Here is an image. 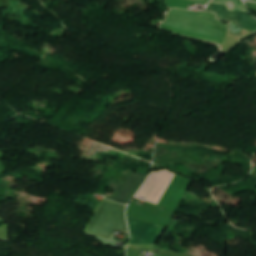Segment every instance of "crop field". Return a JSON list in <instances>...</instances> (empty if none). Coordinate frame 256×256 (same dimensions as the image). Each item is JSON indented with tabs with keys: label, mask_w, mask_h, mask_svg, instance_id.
<instances>
[{
	"label": "crop field",
	"mask_w": 256,
	"mask_h": 256,
	"mask_svg": "<svg viewBox=\"0 0 256 256\" xmlns=\"http://www.w3.org/2000/svg\"><path fill=\"white\" fill-rule=\"evenodd\" d=\"M205 23L225 32L224 35L222 32L204 24L195 14ZM191 12V11H183L179 9H172L169 11L168 16L165 20L164 23L172 27L178 32L181 33H187V34H192V35H197L213 40L220 41L222 35V39L220 42L197 37V36H192V35H186V34H181L167 26L166 24H162L161 27L165 28L167 30L173 31L179 35L182 36H188V37H193V38H198L214 43L221 44L226 33H227V25L220 24V21L216 20L215 14H209L206 12L203 13H196V12Z\"/></svg>",
	"instance_id": "8a807250"
},
{
	"label": "crop field",
	"mask_w": 256,
	"mask_h": 256,
	"mask_svg": "<svg viewBox=\"0 0 256 256\" xmlns=\"http://www.w3.org/2000/svg\"><path fill=\"white\" fill-rule=\"evenodd\" d=\"M250 1H256V0H250Z\"/></svg>",
	"instance_id": "d8731c3e"
},
{
	"label": "crop field",
	"mask_w": 256,
	"mask_h": 256,
	"mask_svg": "<svg viewBox=\"0 0 256 256\" xmlns=\"http://www.w3.org/2000/svg\"><path fill=\"white\" fill-rule=\"evenodd\" d=\"M207 10L217 12V19L236 21V24L242 29L256 33V20L253 19L249 13L230 12L227 11L226 6L213 4H209Z\"/></svg>",
	"instance_id": "f4fd0767"
},
{
	"label": "crop field",
	"mask_w": 256,
	"mask_h": 256,
	"mask_svg": "<svg viewBox=\"0 0 256 256\" xmlns=\"http://www.w3.org/2000/svg\"><path fill=\"white\" fill-rule=\"evenodd\" d=\"M147 176V174L132 172L122 187L111 182L109 188L115 189L117 191L110 197V199L119 203L128 204L138 189L145 182Z\"/></svg>",
	"instance_id": "412701ff"
},
{
	"label": "crop field",
	"mask_w": 256,
	"mask_h": 256,
	"mask_svg": "<svg viewBox=\"0 0 256 256\" xmlns=\"http://www.w3.org/2000/svg\"><path fill=\"white\" fill-rule=\"evenodd\" d=\"M193 1H204V2H209V0H193Z\"/></svg>",
	"instance_id": "e52e79f7"
},
{
	"label": "crop field",
	"mask_w": 256,
	"mask_h": 256,
	"mask_svg": "<svg viewBox=\"0 0 256 256\" xmlns=\"http://www.w3.org/2000/svg\"><path fill=\"white\" fill-rule=\"evenodd\" d=\"M211 3L227 5L229 10L247 12L241 0H212Z\"/></svg>",
	"instance_id": "dd49c442"
},
{
	"label": "crop field",
	"mask_w": 256,
	"mask_h": 256,
	"mask_svg": "<svg viewBox=\"0 0 256 256\" xmlns=\"http://www.w3.org/2000/svg\"><path fill=\"white\" fill-rule=\"evenodd\" d=\"M124 206L103 201L87 234L109 239L113 230L126 229Z\"/></svg>",
	"instance_id": "ac0d7876"
},
{
	"label": "crop field",
	"mask_w": 256,
	"mask_h": 256,
	"mask_svg": "<svg viewBox=\"0 0 256 256\" xmlns=\"http://www.w3.org/2000/svg\"><path fill=\"white\" fill-rule=\"evenodd\" d=\"M128 223L131 233V242L133 244H154L163 227L146 223L140 220L129 218Z\"/></svg>",
	"instance_id": "34b2d1b8"
}]
</instances>
